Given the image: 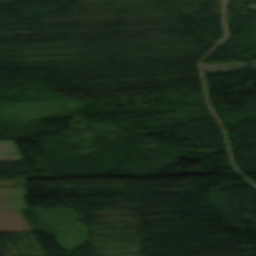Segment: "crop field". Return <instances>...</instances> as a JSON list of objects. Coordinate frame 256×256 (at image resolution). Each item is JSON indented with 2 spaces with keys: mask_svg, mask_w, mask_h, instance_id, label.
I'll list each match as a JSON object with an SVG mask.
<instances>
[{
  "mask_svg": "<svg viewBox=\"0 0 256 256\" xmlns=\"http://www.w3.org/2000/svg\"><path fill=\"white\" fill-rule=\"evenodd\" d=\"M30 230L20 211H0V231Z\"/></svg>",
  "mask_w": 256,
  "mask_h": 256,
  "instance_id": "obj_2",
  "label": "crop field"
},
{
  "mask_svg": "<svg viewBox=\"0 0 256 256\" xmlns=\"http://www.w3.org/2000/svg\"><path fill=\"white\" fill-rule=\"evenodd\" d=\"M24 188H0V210L26 209L23 203Z\"/></svg>",
  "mask_w": 256,
  "mask_h": 256,
  "instance_id": "obj_1",
  "label": "crop field"
}]
</instances>
